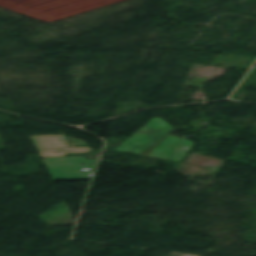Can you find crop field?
Listing matches in <instances>:
<instances>
[{"label":"crop field","mask_w":256,"mask_h":256,"mask_svg":"<svg viewBox=\"0 0 256 256\" xmlns=\"http://www.w3.org/2000/svg\"><path fill=\"white\" fill-rule=\"evenodd\" d=\"M173 129L163 119L155 117L113 150L143 154Z\"/></svg>","instance_id":"crop-field-1"},{"label":"crop field","mask_w":256,"mask_h":256,"mask_svg":"<svg viewBox=\"0 0 256 256\" xmlns=\"http://www.w3.org/2000/svg\"><path fill=\"white\" fill-rule=\"evenodd\" d=\"M54 181L89 179L97 160L83 156L42 158ZM83 163L84 166H80Z\"/></svg>","instance_id":"crop-field-2"},{"label":"crop field","mask_w":256,"mask_h":256,"mask_svg":"<svg viewBox=\"0 0 256 256\" xmlns=\"http://www.w3.org/2000/svg\"><path fill=\"white\" fill-rule=\"evenodd\" d=\"M196 142L168 134L144 155L182 161Z\"/></svg>","instance_id":"crop-field-3"},{"label":"crop field","mask_w":256,"mask_h":256,"mask_svg":"<svg viewBox=\"0 0 256 256\" xmlns=\"http://www.w3.org/2000/svg\"><path fill=\"white\" fill-rule=\"evenodd\" d=\"M41 157L65 156L66 153L93 152L90 147L67 148L63 135L31 136ZM53 151H61L55 153Z\"/></svg>","instance_id":"crop-field-4"}]
</instances>
